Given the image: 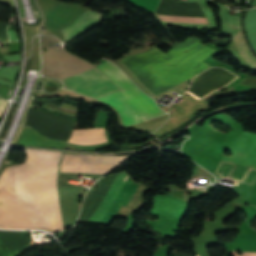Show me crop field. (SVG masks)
I'll return each mask as SVG.
<instances>
[{"instance_id": "f4fd0767", "label": "crop field", "mask_w": 256, "mask_h": 256, "mask_svg": "<svg viewBox=\"0 0 256 256\" xmlns=\"http://www.w3.org/2000/svg\"><path fill=\"white\" fill-rule=\"evenodd\" d=\"M128 159L126 156H92L64 154L60 169L67 172L104 174L117 164Z\"/></svg>"}, {"instance_id": "412701ff", "label": "crop field", "mask_w": 256, "mask_h": 256, "mask_svg": "<svg viewBox=\"0 0 256 256\" xmlns=\"http://www.w3.org/2000/svg\"><path fill=\"white\" fill-rule=\"evenodd\" d=\"M65 88L96 98L120 90L103 72L92 68L61 79Z\"/></svg>"}, {"instance_id": "5a996713", "label": "crop field", "mask_w": 256, "mask_h": 256, "mask_svg": "<svg viewBox=\"0 0 256 256\" xmlns=\"http://www.w3.org/2000/svg\"><path fill=\"white\" fill-rule=\"evenodd\" d=\"M130 1L134 2L137 5L143 6L145 8H148L154 11L160 0H130Z\"/></svg>"}, {"instance_id": "d8731c3e", "label": "crop field", "mask_w": 256, "mask_h": 256, "mask_svg": "<svg viewBox=\"0 0 256 256\" xmlns=\"http://www.w3.org/2000/svg\"><path fill=\"white\" fill-rule=\"evenodd\" d=\"M240 55L247 61V63L256 69V58L250 53L245 45L244 38L241 31L233 37Z\"/></svg>"}, {"instance_id": "d1516ede", "label": "crop field", "mask_w": 256, "mask_h": 256, "mask_svg": "<svg viewBox=\"0 0 256 256\" xmlns=\"http://www.w3.org/2000/svg\"><path fill=\"white\" fill-rule=\"evenodd\" d=\"M256 6V0H254L253 4H252V7H255Z\"/></svg>"}, {"instance_id": "ac0d7876", "label": "crop field", "mask_w": 256, "mask_h": 256, "mask_svg": "<svg viewBox=\"0 0 256 256\" xmlns=\"http://www.w3.org/2000/svg\"><path fill=\"white\" fill-rule=\"evenodd\" d=\"M97 67L106 73L122 89L110 94V96L135 124L166 115L165 112L158 108L155 101L144 94L117 66L107 61ZM110 96L107 95L96 99L113 106L120 114L124 126L134 125Z\"/></svg>"}, {"instance_id": "e52e79f7", "label": "crop field", "mask_w": 256, "mask_h": 256, "mask_svg": "<svg viewBox=\"0 0 256 256\" xmlns=\"http://www.w3.org/2000/svg\"><path fill=\"white\" fill-rule=\"evenodd\" d=\"M77 145H90L107 142L104 128H94L89 130H74L69 141Z\"/></svg>"}, {"instance_id": "34b2d1b8", "label": "crop field", "mask_w": 256, "mask_h": 256, "mask_svg": "<svg viewBox=\"0 0 256 256\" xmlns=\"http://www.w3.org/2000/svg\"><path fill=\"white\" fill-rule=\"evenodd\" d=\"M125 174H119L116 179L114 180L111 188L108 190L103 202L98 207V209L95 211L93 216L88 220V222H95L98 223L102 220L103 216L107 213L108 209L112 205L115 197L123 187L124 183L123 180L125 178ZM127 180V177L125 181ZM137 188V185L132 183L131 180L128 178L126 184L118 194L114 204L109 209L108 213L105 215L104 219L101 221L100 224L108 225L111 220L115 217V215L118 213L120 207L122 205L127 206L128 202L130 201L131 197L133 196L135 190Z\"/></svg>"}, {"instance_id": "8a807250", "label": "crop field", "mask_w": 256, "mask_h": 256, "mask_svg": "<svg viewBox=\"0 0 256 256\" xmlns=\"http://www.w3.org/2000/svg\"><path fill=\"white\" fill-rule=\"evenodd\" d=\"M25 152V162L0 176V228L25 229L35 150ZM61 153L36 150L26 229H64L56 184Z\"/></svg>"}, {"instance_id": "dd49c442", "label": "crop field", "mask_w": 256, "mask_h": 256, "mask_svg": "<svg viewBox=\"0 0 256 256\" xmlns=\"http://www.w3.org/2000/svg\"><path fill=\"white\" fill-rule=\"evenodd\" d=\"M102 19L103 15L92 11L81 17L80 19L74 21L73 23L69 24L68 26L62 28V30L65 34L67 41L69 42L73 38L89 30L92 26L101 23Z\"/></svg>"}, {"instance_id": "3316defc", "label": "crop field", "mask_w": 256, "mask_h": 256, "mask_svg": "<svg viewBox=\"0 0 256 256\" xmlns=\"http://www.w3.org/2000/svg\"><path fill=\"white\" fill-rule=\"evenodd\" d=\"M234 256H256V252H244L243 255L236 254V251H233Z\"/></svg>"}, {"instance_id": "28ad6ade", "label": "crop field", "mask_w": 256, "mask_h": 256, "mask_svg": "<svg viewBox=\"0 0 256 256\" xmlns=\"http://www.w3.org/2000/svg\"><path fill=\"white\" fill-rule=\"evenodd\" d=\"M6 103H7L6 101L0 100V116L5 109Z\"/></svg>"}]
</instances>
